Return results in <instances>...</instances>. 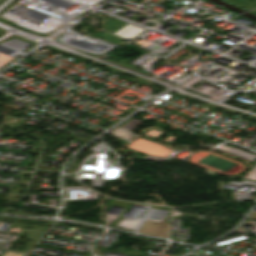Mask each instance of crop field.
I'll return each instance as SVG.
<instances>
[{
	"label": "crop field",
	"mask_w": 256,
	"mask_h": 256,
	"mask_svg": "<svg viewBox=\"0 0 256 256\" xmlns=\"http://www.w3.org/2000/svg\"><path fill=\"white\" fill-rule=\"evenodd\" d=\"M226 1L231 2L233 4H236L238 6H241V7L247 8V9H251V8L256 7V2L251 3V2L246 1V0H226Z\"/></svg>",
	"instance_id": "crop-field-1"
}]
</instances>
